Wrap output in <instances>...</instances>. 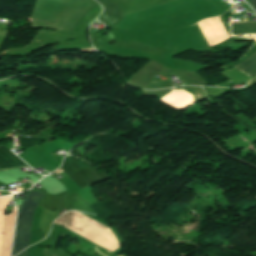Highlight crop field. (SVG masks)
I'll list each match as a JSON object with an SVG mask.
<instances>
[{"label":"crop field","instance_id":"crop-field-7","mask_svg":"<svg viewBox=\"0 0 256 256\" xmlns=\"http://www.w3.org/2000/svg\"><path fill=\"white\" fill-rule=\"evenodd\" d=\"M250 2L253 4L255 10H256V0H250Z\"/></svg>","mask_w":256,"mask_h":256},{"label":"crop field","instance_id":"crop-field-6","mask_svg":"<svg viewBox=\"0 0 256 256\" xmlns=\"http://www.w3.org/2000/svg\"><path fill=\"white\" fill-rule=\"evenodd\" d=\"M17 256H28L27 250H24L22 253H20Z\"/></svg>","mask_w":256,"mask_h":256},{"label":"crop field","instance_id":"crop-field-1","mask_svg":"<svg viewBox=\"0 0 256 256\" xmlns=\"http://www.w3.org/2000/svg\"><path fill=\"white\" fill-rule=\"evenodd\" d=\"M42 196L39 192H30L18 213L11 256L28 246L33 212Z\"/></svg>","mask_w":256,"mask_h":256},{"label":"crop field","instance_id":"crop-field-2","mask_svg":"<svg viewBox=\"0 0 256 256\" xmlns=\"http://www.w3.org/2000/svg\"><path fill=\"white\" fill-rule=\"evenodd\" d=\"M60 168L79 188L87 187L109 179L100 170L74 157H66Z\"/></svg>","mask_w":256,"mask_h":256},{"label":"crop field","instance_id":"crop-field-4","mask_svg":"<svg viewBox=\"0 0 256 256\" xmlns=\"http://www.w3.org/2000/svg\"><path fill=\"white\" fill-rule=\"evenodd\" d=\"M233 68L251 78L256 74V53Z\"/></svg>","mask_w":256,"mask_h":256},{"label":"crop field","instance_id":"crop-field-3","mask_svg":"<svg viewBox=\"0 0 256 256\" xmlns=\"http://www.w3.org/2000/svg\"><path fill=\"white\" fill-rule=\"evenodd\" d=\"M28 167L16 155L0 145V171L12 168Z\"/></svg>","mask_w":256,"mask_h":256},{"label":"crop field","instance_id":"crop-field-5","mask_svg":"<svg viewBox=\"0 0 256 256\" xmlns=\"http://www.w3.org/2000/svg\"><path fill=\"white\" fill-rule=\"evenodd\" d=\"M232 35L256 33V22H242L231 24Z\"/></svg>","mask_w":256,"mask_h":256}]
</instances>
